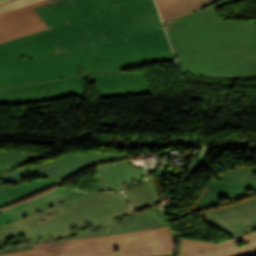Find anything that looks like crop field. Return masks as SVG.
Returning a JSON list of instances; mask_svg holds the SVG:
<instances>
[{
	"mask_svg": "<svg viewBox=\"0 0 256 256\" xmlns=\"http://www.w3.org/2000/svg\"><path fill=\"white\" fill-rule=\"evenodd\" d=\"M51 29L0 44V88L172 62L154 0H52Z\"/></svg>",
	"mask_w": 256,
	"mask_h": 256,
	"instance_id": "1",
	"label": "crop field"
},
{
	"mask_svg": "<svg viewBox=\"0 0 256 256\" xmlns=\"http://www.w3.org/2000/svg\"><path fill=\"white\" fill-rule=\"evenodd\" d=\"M169 224L162 205L136 213L123 193L83 194L0 227V253L29 243L102 236Z\"/></svg>",
	"mask_w": 256,
	"mask_h": 256,
	"instance_id": "2",
	"label": "crop field"
},
{
	"mask_svg": "<svg viewBox=\"0 0 256 256\" xmlns=\"http://www.w3.org/2000/svg\"><path fill=\"white\" fill-rule=\"evenodd\" d=\"M165 28L181 71L210 77L256 76V21H220L211 4Z\"/></svg>",
	"mask_w": 256,
	"mask_h": 256,
	"instance_id": "3",
	"label": "crop field"
},
{
	"mask_svg": "<svg viewBox=\"0 0 256 256\" xmlns=\"http://www.w3.org/2000/svg\"><path fill=\"white\" fill-rule=\"evenodd\" d=\"M30 247L31 249L0 256H166L176 254V240L170 225L102 237L39 242L30 244Z\"/></svg>",
	"mask_w": 256,
	"mask_h": 256,
	"instance_id": "4",
	"label": "crop field"
},
{
	"mask_svg": "<svg viewBox=\"0 0 256 256\" xmlns=\"http://www.w3.org/2000/svg\"><path fill=\"white\" fill-rule=\"evenodd\" d=\"M96 81L98 98L151 94L142 73L111 72L0 89V104H33L68 96H84L86 82Z\"/></svg>",
	"mask_w": 256,
	"mask_h": 256,
	"instance_id": "5",
	"label": "crop field"
},
{
	"mask_svg": "<svg viewBox=\"0 0 256 256\" xmlns=\"http://www.w3.org/2000/svg\"><path fill=\"white\" fill-rule=\"evenodd\" d=\"M125 153L91 152L70 155L49 160L46 163L34 165L27 169H19L0 176V182L5 185L36 180L44 177L52 178L57 185L71 178L75 174L104 161L125 159Z\"/></svg>",
	"mask_w": 256,
	"mask_h": 256,
	"instance_id": "6",
	"label": "crop field"
},
{
	"mask_svg": "<svg viewBox=\"0 0 256 256\" xmlns=\"http://www.w3.org/2000/svg\"><path fill=\"white\" fill-rule=\"evenodd\" d=\"M215 177L200 190L190 211H204L256 194V165L234 167Z\"/></svg>",
	"mask_w": 256,
	"mask_h": 256,
	"instance_id": "7",
	"label": "crop field"
},
{
	"mask_svg": "<svg viewBox=\"0 0 256 256\" xmlns=\"http://www.w3.org/2000/svg\"><path fill=\"white\" fill-rule=\"evenodd\" d=\"M48 2L50 0H7L0 3V43L48 29L33 9Z\"/></svg>",
	"mask_w": 256,
	"mask_h": 256,
	"instance_id": "8",
	"label": "crop field"
},
{
	"mask_svg": "<svg viewBox=\"0 0 256 256\" xmlns=\"http://www.w3.org/2000/svg\"><path fill=\"white\" fill-rule=\"evenodd\" d=\"M200 216L216 229L236 237L256 230V196ZM206 222V223H207Z\"/></svg>",
	"mask_w": 256,
	"mask_h": 256,
	"instance_id": "9",
	"label": "crop field"
},
{
	"mask_svg": "<svg viewBox=\"0 0 256 256\" xmlns=\"http://www.w3.org/2000/svg\"><path fill=\"white\" fill-rule=\"evenodd\" d=\"M254 255H256V231L218 243L185 238L180 239L179 256Z\"/></svg>",
	"mask_w": 256,
	"mask_h": 256,
	"instance_id": "10",
	"label": "crop field"
},
{
	"mask_svg": "<svg viewBox=\"0 0 256 256\" xmlns=\"http://www.w3.org/2000/svg\"><path fill=\"white\" fill-rule=\"evenodd\" d=\"M80 194L82 193L58 187L30 201L2 210L0 213V226Z\"/></svg>",
	"mask_w": 256,
	"mask_h": 256,
	"instance_id": "11",
	"label": "crop field"
},
{
	"mask_svg": "<svg viewBox=\"0 0 256 256\" xmlns=\"http://www.w3.org/2000/svg\"><path fill=\"white\" fill-rule=\"evenodd\" d=\"M97 192L108 190H121L122 182L141 180L145 178L144 169H134L129 161H120L96 167ZM130 183V182H129ZM133 184L130 183L129 187Z\"/></svg>",
	"mask_w": 256,
	"mask_h": 256,
	"instance_id": "12",
	"label": "crop field"
},
{
	"mask_svg": "<svg viewBox=\"0 0 256 256\" xmlns=\"http://www.w3.org/2000/svg\"><path fill=\"white\" fill-rule=\"evenodd\" d=\"M55 185L56 183L49 178L27 182L16 186H5L0 183V208L32 197Z\"/></svg>",
	"mask_w": 256,
	"mask_h": 256,
	"instance_id": "13",
	"label": "crop field"
},
{
	"mask_svg": "<svg viewBox=\"0 0 256 256\" xmlns=\"http://www.w3.org/2000/svg\"><path fill=\"white\" fill-rule=\"evenodd\" d=\"M163 22H168L192 10L217 0H156Z\"/></svg>",
	"mask_w": 256,
	"mask_h": 256,
	"instance_id": "14",
	"label": "crop field"
},
{
	"mask_svg": "<svg viewBox=\"0 0 256 256\" xmlns=\"http://www.w3.org/2000/svg\"><path fill=\"white\" fill-rule=\"evenodd\" d=\"M125 193L135 210H142L162 202L155 180L132 188Z\"/></svg>",
	"mask_w": 256,
	"mask_h": 256,
	"instance_id": "15",
	"label": "crop field"
},
{
	"mask_svg": "<svg viewBox=\"0 0 256 256\" xmlns=\"http://www.w3.org/2000/svg\"><path fill=\"white\" fill-rule=\"evenodd\" d=\"M174 144L175 147H179L177 144H192L203 146L201 141L196 137H139L131 136L130 146H143L148 145L152 147H165L167 145Z\"/></svg>",
	"mask_w": 256,
	"mask_h": 256,
	"instance_id": "16",
	"label": "crop field"
},
{
	"mask_svg": "<svg viewBox=\"0 0 256 256\" xmlns=\"http://www.w3.org/2000/svg\"><path fill=\"white\" fill-rule=\"evenodd\" d=\"M42 158L24 152L0 149V164H6L8 168L18 167Z\"/></svg>",
	"mask_w": 256,
	"mask_h": 256,
	"instance_id": "17",
	"label": "crop field"
},
{
	"mask_svg": "<svg viewBox=\"0 0 256 256\" xmlns=\"http://www.w3.org/2000/svg\"><path fill=\"white\" fill-rule=\"evenodd\" d=\"M210 150H211V149H206L205 153L202 154V155L193 163V165H192V170H191V172H190L188 175H190L191 173H193V171H196V172H197V171L200 169L199 166H201V165H204V166H207V167H208V164L206 163V162H208V160H207L206 158H207V155H209V151H210ZM209 169H210V171L213 172L214 175L220 174L219 172H215V171L213 170V168H209Z\"/></svg>",
	"mask_w": 256,
	"mask_h": 256,
	"instance_id": "18",
	"label": "crop field"
},
{
	"mask_svg": "<svg viewBox=\"0 0 256 256\" xmlns=\"http://www.w3.org/2000/svg\"><path fill=\"white\" fill-rule=\"evenodd\" d=\"M235 1H238V0H222V1H219L217 3H214V5L219 8L221 6H224L226 4H229V3H232V2H235Z\"/></svg>",
	"mask_w": 256,
	"mask_h": 256,
	"instance_id": "19",
	"label": "crop field"
},
{
	"mask_svg": "<svg viewBox=\"0 0 256 256\" xmlns=\"http://www.w3.org/2000/svg\"><path fill=\"white\" fill-rule=\"evenodd\" d=\"M5 169H7L5 165H0V175L6 173Z\"/></svg>",
	"mask_w": 256,
	"mask_h": 256,
	"instance_id": "20",
	"label": "crop field"
},
{
	"mask_svg": "<svg viewBox=\"0 0 256 256\" xmlns=\"http://www.w3.org/2000/svg\"><path fill=\"white\" fill-rule=\"evenodd\" d=\"M166 165H167V164L164 165V167H163V169H162V171H161L160 174H163V172H164V170H165V168H166Z\"/></svg>",
	"mask_w": 256,
	"mask_h": 256,
	"instance_id": "21",
	"label": "crop field"
},
{
	"mask_svg": "<svg viewBox=\"0 0 256 256\" xmlns=\"http://www.w3.org/2000/svg\"><path fill=\"white\" fill-rule=\"evenodd\" d=\"M2 1H4V0H0V2H2Z\"/></svg>",
	"mask_w": 256,
	"mask_h": 256,
	"instance_id": "22",
	"label": "crop field"
},
{
	"mask_svg": "<svg viewBox=\"0 0 256 256\" xmlns=\"http://www.w3.org/2000/svg\"><path fill=\"white\" fill-rule=\"evenodd\" d=\"M175 256V255H174Z\"/></svg>",
	"mask_w": 256,
	"mask_h": 256,
	"instance_id": "23",
	"label": "crop field"
}]
</instances>
